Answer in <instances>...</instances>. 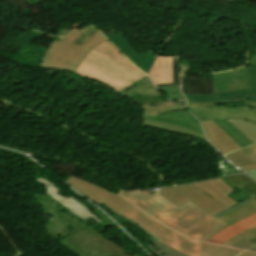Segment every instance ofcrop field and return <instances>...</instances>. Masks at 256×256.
I'll use <instances>...</instances> for the list:
<instances>
[{
    "instance_id": "obj_5",
    "label": "crop field",
    "mask_w": 256,
    "mask_h": 256,
    "mask_svg": "<svg viewBox=\"0 0 256 256\" xmlns=\"http://www.w3.org/2000/svg\"><path fill=\"white\" fill-rule=\"evenodd\" d=\"M89 27L76 30L61 41H52L39 66L74 72L85 56L106 39L97 31L80 46L72 45Z\"/></svg>"
},
{
    "instance_id": "obj_6",
    "label": "crop field",
    "mask_w": 256,
    "mask_h": 256,
    "mask_svg": "<svg viewBox=\"0 0 256 256\" xmlns=\"http://www.w3.org/2000/svg\"><path fill=\"white\" fill-rule=\"evenodd\" d=\"M58 242L78 256H130L90 227Z\"/></svg>"
},
{
    "instance_id": "obj_22",
    "label": "crop field",
    "mask_w": 256,
    "mask_h": 256,
    "mask_svg": "<svg viewBox=\"0 0 256 256\" xmlns=\"http://www.w3.org/2000/svg\"><path fill=\"white\" fill-rule=\"evenodd\" d=\"M253 143L256 142V124L250 121L227 119Z\"/></svg>"
},
{
    "instance_id": "obj_14",
    "label": "crop field",
    "mask_w": 256,
    "mask_h": 256,
    "mask_svg": "<svg viewBox=\"0 0 256 256\" xmlns=\"http://www.w3.org/2000/svg\"><path fill=\"white\" fill-rule=\"evenodd\" d=\"M256 225V214L235 224L227 227L225 230L215 234L211 238L207 239L206 242L214 243V244H221L231 238L232 236L253 227Z\"/></svg>"
},
{
    "instance_id": "obj_34",
    "label": "crop field",
    "mask_w": 256,
    "mask_h": 256,
    "mask_svg": "<svg viewBox=\"0 0 256 256\" xmlns=\"http://www.w3.org/2000/svg\"><path fill=\"white\" fill-rule=\"evenodd\" d=\"M256 247V244H254L253 247H251L250 249H248V251H250L251 249L255 248Z\"/></svg>"
},
{
    "instance_id": "obj_11",
    "label": "crop field",
    "mask_w": 256,
    "mask_h": 256,
    "mask_svg": "<svg viewBox=\"0 0 256 256\" xmlns=\"http://www.w3.org/2000/svg\"><path fill=\"white\" fill-rule=\"evenodd\" d=\"M214 92L229 91L241 88H248V76L246 67L213 74Z\"/></svg>"
},
{
    "instance_id": "obj_10",
    "label": "crop field",
    "mask_w": 256,
    "mask_h": 256,
    "mask_svg": "<svg viewBox=\"0 0 256 256\" xmlns=\"http://www.w3.org/2000/svg\"><path fill=\"white\" fill-rule=\"evenodd\" d=\"M189 101L229 104L237 102H256V88L242 89L230 92L214 93V96L184 94Z\"/></svg>"
},
{
    "instance_id": "obj_9",
    "label": "crop field",
    "mask_w": 256,
    "mask_h": 256,
    "mask_svg": "<svg viewBox=\"0 0 256 256\" xmlns=\"http://www.w3.org/2000/svg\"><path fill=\"white\" fill-rule=\"evenodd\" d=\"M110 40L126 57H130V61L135 64L143 72L148 73L156 55L150 50L146 53H137L124 37L122 32L104 35Z\"/></svg>"
},
{
    "instance_id": "obj_31",
    "label": "crop field",
    "mask_w": 256,
    "mask_h": 256,
    "mask_svg": "<svg viewBox=\"0 0 256 256\" xmlns=\"http://www.w3.org/2000/svg\"><path fill=\"white\" fill-rule=\"evenodd\" d=\"M239 168L243 171L245 170H249V169H254L256 168V163H252V164H247V165H243V166H239Z\"/></svg>"
},
{
    "instance_id": "obj_23",
    "label": "crop field",
    "mask_w": 256,
    "mask_h": 256,
    "mask_svg": "<svg viewBox=\"0 0 256 256\" xmlns=\"http://www.w3.org/2000/svg\"><path fill=\"white\" fill-rule=\"evenodd\" d=\"M148 247L154 252L156 256H187L169 246L162 243L161 241H156L153 244L148 245Z\"/></svg>"
},
{
    "instance_id": "obj_32",
    "label": "crop field",
    "mask_w": 256,
    "mask_h": 256,
    "mask_svg": "<svg viewBox=\"0 0 256 256\" xmlns=\"http://www.w3.org/2000/svg\"><path fill=\"white\" fill-rule=\"evenodd\" d=\"M246 173L256 180V169L255 170L246 171Z\"/></svg>"
},
{
    "instance_id": "obj_24",
    "label": "crop field",
    "mask_w": 256,
    "mask_h": 256,
    "mask_svg": "<svg viewBox=\"0 0 256 256\" xmlns=\"http://www.w3.org/2000/svg\"><path fill=\"white\" fill-rule=\"evenodd\" d=\"M158 117H166V118H171L173 120L192 125L198 128H201V125L198 123H195L191 120V117L188 112L185 111H174V112H169L167 114L158 116ZM202 129V128H201Z\"/></svg>"
},
{
    "instance_id": "obj_37",
    "label": "crop field",
    "mask_w": 256,
    "mask_h": 256,
    "mask_svg": "<svg viewBox=\"0 0 256 256\" xmlns=\"http://www.w3.org/2000/svg\"><path fill=\"white\" fill-rule=\"evenodd\" d=\"M255 146H256V143H255Z\"/></svg>"
},
{
    "instance_id": "obj_25",
    "label": "crop field",
    "mask_w": 256,
    "mask_h": 256,
    "mask_svg": "<svg viewBox=\"0 0 256 256\" xmlns=\"http://www.w3.org/2000/svg\"><path fill=\"white\" fill-rule=\"evenodd\" d=\"M230 181H232L234 184L237 183H243V182H247L244 187L242 188V190H244L245 192H251V193H256V183H254L252 180L241 176V175H236V176H232L230 178H228Z\"/></svg>"
},
{
    "instance_id": "obj_16",
    "label": "crop field",
    "mask_w": 256,
    "mask_h": 256,
    "mask_svg": "<svg viewBox=\"0 0 256 256\" xmlns=\"http://www.w3.org/2000/svg\"><path fill=\"white\" fill-rule=\"evenodd\" d=\"M182 93L213 95V80L181 79Z\"/></svg>"
},
{
    "instance_id": "obj_15",
    "label": "crop field",
    "mask_w": 256,
    "mask_h": 256,
    "mask_svg": "<svg viewBox=\"0 0 256 256\" xmlns=\"http://www.w3.org/2000/svg\"><path fill=\"white\" fill-rule=\"evenodd\" d=\"M256 213V201H252L220 218H218V220L224 222L226 225L221 227L220 229L216 230L215 232L209 234L208 236L204 237L203 239H201V241L206 240L207 238L211 237L212 235H214L215 233L219 232L220 230L226 228L227 226L234 224L252 214Z\"/></svg>"
},
{
    "instance_id": "obj_29",
    "label": "crop field",
    "mask_w": 256,
    "mask_h": 256,
    "mask_svg": "<svg viewBox=\"0 0 256 256\" xmlns=\"http://www.w3.org/2000/svg\"><path fill=\"white\" fill-rule=\"evenodd\" d=\"M251 246H253V245L244 239V240L232 245L231 247L246 250Z\"/></svg>"
},
{
    "instance_id": "obj_35",
    "label": "crop field",
    "mask_w": 256,
    "mask_h": 256,
    "mask_svg": "<svg viewBox=\"0 0 256 256\" xmlns=\"http://www.w3.org/2000/svg\"><path fill=\"white\" fill-rule=\"evenodd\" d=\"M252 252H256V248L255 249H253V250H251Z\"/></svg>"
},
{
    "instance_id": "obj_4",
    "label": "crop field",
    "mask_w": 256,
    "mask_h": 256,
    "mask_svg": "<svg viewBox=\"0 0 256 256\" xmlns=\"http://www.w3.org/2000/svg\"><path fill=\"white\" fill-rule=\"evenodd\" d=\"M167 245L189 256H236L241 250L191 240L167 228L136 207L123 214Z\"/></svg>"
},
{
    "instance_id": "obj_33",
    "label": "crop field",
    "mask_w": 256,
    "mask_h": 256,
    "mask_svg": "<svg viewBox=\"0 0 256 256\" xmlns=\"http://www.w3.org/2000/svg\"><path fill=\"white\" fill-rule=\"evenodd\" d=\"M239 256H256V253L244 252V253L240 254Z\"/></svg>"
},
{
    "instance_id": "obj_12",
    "label": "crop field",
    "mask_w": 256,
    "mask_h": 256,
    "mask_svg": "<svg viewBox=\"0 0 256 256\" xmlns=\"http://www.w3.org/2000/svg\"><path fill=\"white\" fill-rule=\"evenodd\" d=\"M209 141L223 154L241 149V147L213 120L201 121Z\"/></svg>"
},
{
    "instance_id": "obj_36",
    "label": "crop field",
    "mask_w": 256,
    "mask_h": 256,
    "mask_svg": "<svg viewBox=\"0 0 256 256\" xmlns=\"http://www.w3.org/2000/svg\"><path fill=\"white\" fill-rule=\"evenodd\" d=\"M255 112H256V109L252 108Z\"/></svg>"
},
{
    "instance_id": "obj_1",
    "label": "crop field",
    "mask_w": 256,
    "mask_h": 256,
    "mask_svg": "<svg viewBox=\"0 0 256 256\" xmlns=\"http://www.w3.org/2000/svg\"><path fill=\"white\" fill-rule=\"evenodd\" d=\"M119 195L156 220L193 239L199 240L225 225L190 202L177 208L157 193L151 196L145 191H122Z\"/></svg>"
},
{
    "instance_id": "obj_3",
    "label": "crop field",
    "mask_w": 256,
    "mask_h": 256,
    "mask_svg": "<svg viewBox=\"0 0 256 256\" xmlns=\"http://www.w3.org/2000/svg\"><path fill=\"white\" fill-rule=\"evenodd\" d=\"M231 192L233 189L220 178L157 191L177 207L190 201L213 216L237 204L227 196Z\"/></svg>"
},
{
    "instance_id": "obj_21",
    "label": "crop field",
    "mask_w": 256,
    "mask_h": 256,
    "mask_svg": "<svg viewBox=\"0 0 256 256\" xmlns=\"http://www.w3.org/2000/svg\"><path fill=\"white\" fill-rule=\"evenodd\" d=\"M143 109H144V115L156 116V115L164 114L168 111L184 110L185 108L180 105H176L172 102H166L164 104H159L157 106L144 104Z\"/></svg>"
},
{
    "instance_id": "obj_20",
    "label": "crop field",
    "mask_w": 256,
    "mask_h": 256,
    "mask_svg": "<svg viewBox=\"0 0 256 256\" xmlns=\"http://www.w3.org/2000/svg\"><path fill=\"white\" fill-rule=\"evenodd\" d=\"M220 127H222L242 148L253 144L247 139L238 129H236L226 119L214 120Z\"/></svg>"
},
{
    "instance_id": "obj_28",
    "label": "crop field",
    "mask_w": 256,
    "mask_h": 256,
    "mask_svg": "<svg viewBox=\"0 0 256 256\" xmlns=\"http://www.w3.org/2000/svg\"><path fill=\"white\" fill-rule=\"evenodd\" d=\"M249 87H256V66H249Z\"/></svg>"
},
{
    "instance_id": "obj_18",
    "label": "crop field",
    "mask_w": 256,
    "mask_h": 256,
    "mask_svg": "<svg viewBox=\"0 0 256 256\" xmlns=\"http://www.w3.org/2000/svg\"><path fill=\"white\" fill-rule=\"evenodd\" d=\"M225 156L236 166L252 163L256 161V147L253 145Z\"/></svg>"
},
{
    "instance_id": "obj_8",
    "label": "crop field",
    "mask_w": 256,
    "mask_h": 256,
    "mask_svg": "<svg viewBox=\"0 0 256 256\" xmlns=\"http://www.w3.org/2000/svg\"><path fill=\"white\" fill-rule=\"evenodd\" d=\"M64 181L80 191L87 198L96 202L98 205L103 203L121 216H123V213L134 207L130 205L131 203H127L128 201L126 202L116 194L79 178L71 176ZM123 217L130 220L125 216Z\"/></svg>"
},
{
    "instance_id": "obj_7",
    "label": "crop field",
    "mask_w": 256,
    "mask_h": 256,
    "mask_svg": "<svg viewBox=\"0 0 256 256\" xmlns=\"http://www.w3.org/2000/svg\"><path fill=\"white\" fill-rule=\"evenodd\" d=\"M187 108L199 119L235 118L245 119L256 123V103H238L230 105H216L211 103H187Z\"/></svg>"
},
{
    "instance_id": "obj_27",
    "label": "crop field",
    "mask_w": 256,
    "mask_h": 256,
    "mask_svg": "<svg viewBox=\"0 0 256 256\" xmlns=\"http://www.w3.org/2000/svg\"><path fill=\"white\" fill-rule=\"evenodd\" d=\"M172 63H173L174 84L156 85V87H159V86L180 85L178 56H172Z\"/></svg>"
},
{
    "instance_id": "obj_26",
    "label": "crop field",
    "mask_w": 256,
    "mask_h": 256,
    "mask_svg": "<svg viewBox=\"0 0 256 256\" xmlns=\"http://www.w3.org/2000/svg\"><path fill=\"white\" fill-rule=\"evenodd\" d=\"M254 237H256V226L240 233L239 235L229 239L228 241H226L225 243H223L221 245H225V246L230 247L232 244H234V243H236V242H238V241H240L244 238L249 240V239H252Z\"/></svg>"
},
{
    "instance_id": "obj_17",
    "label": "crop field",
    "mask_w": 256,
    "mask_h": 256,
    "mask_svg": "<svg viewBox=\"0 0 256 256\" xmlns=\"http://www.w3.org/2000/svg\"><path fill=\"white\" fill-rule=\"evenodd\" d=\"M125 93L129 97L133 96L134 94H142L146 96H159L161 95L159 90H157L152 83L149 81L147 76L136 81L131 86L123 89L120 93Z\"/></svg>"
},
{
    "instance_id": "obj_19",
    "label": "crop field",
    "mask_w": 256,
    "mask_h": 256,
    "mask_svg": "<svg viewBox=\"0 0 256 256\" xmlns=\"http://www.w3.org/2000/svg\"><path fill=\"white\" fill-rule=\"evenodd\" d=\"M142 125L205 139V137L202 133L196 132L194 130L187 129V128H181V127H177V126H173V125H169V124H165V123H161V122H156V121H152V120H148V119H143Z\"/></svg>"
},
{
    "instance_id": "obj_2",
    "label": "crop field",
    "mask_w": 256,
    "mask_h": 256,
    "mask_svg": "<svg viewBox=\"0 0 256 256\" xmlns=\"http://www.w3.org/2000/svg\"><path fill=\"white\" fill-rule=\"evenodd\" d=\"M75 72L94 77L118 91L145 75L107 39L86 56Z\"/></svg>"
},
{
    "instance_id": "obj_30",
    "label": "crop field",
    "mask_w": 256,
    "mask_h": 256,
    "mask_svg": "<svg viewBox=\"0 0 256 256\" xmlns=\"http://www.w3.org/2000/svg\"><path fill=\"white\" fill-rule=\"evenodd\" d=\"M251 200L252 199L245 200V201L239 203L238 205H236V206H234V207H232V208H230V209H228V210H226V211H224V212H222V213H220V214H218V215H216L214 217L217 218V217H219V216H221V215H223V214H225V213H227V212H229V211H231V210H233V209H235V208H237V207H239V206H241V205H243V204H245V203H247V202H249Z\"/></svg>"
},
{
    "instance_id": "obj_13",
    "label": "crop field",
    "mask_w": 256,
    "mask_h": 256,
    "mask_svg": "<svg viewBox=\"0 0 256 256\" xmlns=\"http://www.w3.org/2000/svg\"><path fill=\"white\" fill-rule=\"evenodd\" d=\"M149 78L154 84L173 83L171 56H158Z\"/></svg>"
}]
</instances>
